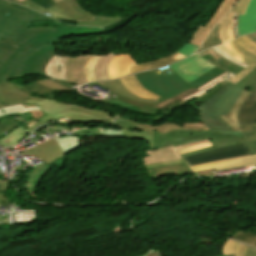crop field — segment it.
I'll return each mask as SVG.
<instances>
[{"label": "crop field", "instance_id": "crop-field-39", "mask_svg": "<svg viewBox=\"0 0 256 256\" xmlns=\"http://www.w3.org/2000/svg\"><path fill=\"white\" fill-rule=\"evenodd\" d=\"M249 2L250 0H238L236 5L230 12L244 15Z\"/></svg>", "mask_w": 256, "mask_h": 256}, {"label": "crop field", "instance_id": "crop-field-21", "mask_svg": "<svg viewBox=\"0 0 256 256\" xmlns=\"http://www.w3.org/2000/svg\"><path fill=\"white\" fill-rule=\"evenodd\" d=\"M212 143H213L214 147L201 149V150H197V151H194V152H191V153H187V154L182 155V157L194 155V154H197V153H201V152L212 150V149L219 148V147L242 144V143H246L251 155L256 154V141L245 142L243 137L212 140Z\"/></svg>", "mask_w": 256, "mask_h": 256}, {"label": "crop field", "instance_id": "crop-field-47", "mask_svg": "<svg viewBox=\"0 0 256 256\" xmlns=\"http://www.w3.org/2000/svg\"><path fill=\"white\" fill-rule=\"evenodd\" d=\"M44 8H49L51 7L52 5L56 4L55 2H53L52 0H30Z\"/></svg>", "mask_w": 256, "mask_h": 256}, {"label": "crop field", "instance_id": "crop-field-16", "mask_svg": "<svg viewBox=\"0 0 256 256\" xmlns=\"http://www.w3.org/2000/svg\"><path fill=\"white\" fill-rule=\"evenodd\" d=\"M134 61L131 54H122L114 57L108 68L110 78L126 76Z\"/></svg>", "mask_w": 256, "mask_h": 256}, {"label": "crop field", "instance_id": "crop-field-56", "mask_svg": "<svg viewBox=\"0 0 256 256\" xmlns=\"http://www.w3.org/2000/svg\"><path fill=\"white\" fill-rule=\"evenodd\" d=\"M9 1H13V2H16V3H20V2H18V1H16V0H9Z\"/></svg>", "mask_w": 256, "mask_h": 256}, {"label": "crop field", "instance_id": "crop-field-2", "mask_svg": "<svg viewBox=\"0 0 256 256\" xmlns=\"http://www.w3.org/2000/svg\"><path fill=\"white\" fill-rule=\"evenodd\" d=\"M248 94L225 81L186 105L200 111V120L209 129L243 131L246 141L255 140L256 123L239 127L237 120V111Z\"/></svg>", "mask_w": 256, "mask_h": 256}, {"label": "crop field", "instance_id": "crop-field-19", "mask_svg": "<svg viewBox=\"0 0 256 256\" xmlns=\"http://www.w3.org/2000/svg\"><path fill=\"white\" fill-rule=\"evenodd\" d=\"M256 31V0H251L245 16L239 15V36Z\"/></svg>", "mask_w": 256, "mask_h": 256}, {"label": "crop field", "instance_id": "crop-field-9", "mask_svg": "<svg viewBox=\"0 0 256 256\" xmlns=\"http://www.w3.org/2000/svg\"><path fill=\"white\" fill-rule=\"evenodd\" d=\"M29 95L16 89L10 82L0 85V116L11 113H28L21 104L26 103Z\"/></svg>", "mask_w": 256, "mask_h": 256}, {"label": "crop field", "instance_id": "crop-field-58", "mask_svg": "<svg viewBox=\"0 0 256 256\" xmlns=\"http://www.w3.org/2000/svg\"><path fill=\"white\" fill-rule=\"evenodd\" d=\"M18 1L22 2V1H24V0H18Z\"/></svg>", "mask_w": 256, "mask_h": 256}, {"label": "crop field", "instance_id": "crop-field-10", "mask_svg": "<svg viewBox=\"0 0 256 256\" xmlns=\"http://www.w3.org/2000/svg\"><path fill=\"white\" fill-rule=\"evenodd\" d=\"M187 83L215 66L210 62L195 54L182 61L170 65Z\"/></svg>", "mask_w": 256, "mask_h": 256}, {"label": "crop field", "instance_id": "crop-field-14", "mask_svg": "<svg viewBox=\"0 0 256 256\" xmlns=\"http://www.w3.org/2000/svg\"><path fill=\"white\" fill-rule=\"evenodd\" d=\"M252 165H256V155L204 163V164L192 166L191 169L193 170V172L205 170L209 168H215L217 171H220V170L230 169V168L239 167V166L247 167Z\"/></svg>", "mask_w": 256, "mask_h": 256}, {"label": "crop field", "instance_id": "crop-field-35", "mask_svg": "<svg viewBox=\"0 0 256 256\" xmlns=\"http://www.w3.org/2000/svg\"><path fill=\"white\" fill-rule=\"evenodd\" d=\"M208 37V36H207ZM220 40L218 37V31H217V26L216 28L212 31V33L209 35V37L206 39V41L203 43V45L195 52H200L202 50H205L207 48H210L216 44H220Z\"/></svg>", "mask_w": 256, "mask_h": 256}, {"label": "crop field", "instance_id": "crop-field-20", "mask_svg": "<svg viewBox=\"0 0 256 256\" xmlns=\"http://www.w3.org/2000/svg\"><path fill=\"white\" fill-rule=\"evenodd\" d=\"M183 58H185V57L182 56L181 54L175 53L168 57L151 60V61H147V62H143V63H139V64H137V62L135 61L133 63V65L131 66L128 75L139 72V71H143V70L163 67L165 65H168L170 63H173V62L178 61Z\"/></svg>", "mask_w": 256, "mask_h": 256}, {"label": "crop field", "instance_id": "crop-field-38", "mask_svg": "<svg viewBox=\"0 0 256 256\" xmlns=\"http://www.w3.org/2000/svg\"><path fill=\"white\" fill-rule=\"evenodd\" d=\"M239 246H240L239 243H236L230 239H227L226 243L223 246L224 255L235 254Z\"/></svg>", "mask_w": 256, "mask_h": 256}, {"label": "crop field", "instance_id": "crop-field-25", "mask_svg": "<svg viewBox=\"0 0 256 256\" xmlns=\"http://www.w3.org/2000/svg\"><path fill=\"white\" fill-rule=\"evenodd\" d=\"M52 169L54 168L43 163L24 174V176L34 179V182H33L34 192H39L38 191L39 184L41 183L44 176L48 174Z\"/></svg>", "mask_w": 256, "mask_h": 256}, {"label": "crop field", "instance_id": "crop-field-11", "mask_svg": "<svg viewBox=\"0 0 256 256\" xmlns=\"http://www.w3.org/2000/svg\"><path fill=\"white\" fill-rule=\"evenodd\" d=\"M245 155H250V154L248 152L246 145L242 144V145L215 149L212 151L186 157L183 159L186 161V163L189 166H191V165H196L204 162L222 160V159H227V158H232L237 156H245Z\"/></svg>", "mask_w": 256, "mask_h": 256}, {"label": "crop field", "instance_id": "crop-field-23", "mask_svg": "<svg viewBox=\"0 0 256 256\" xmlns=\"http://www.w3.org/2000/svg\"><path fill=\"white\" fill-rule=\"evenodd\" d=\"M199 54H201L203 57H205L211 63L227 70L228 72H230L234 75L244 69L238 65H235V64L225 60L220 55L216 54L212 48L205 50L203 52H200Z\"/></svg>", "mask_w": 256, "mask_h": 256}, {"label": "crop field", "instance_id": "crop-field-6", "mask_svg": "<svg viewBox=\"0 0 256 256\" xmlns=\"http://www.w3.org/2000/svg\"><path fill=\"white\" fill-rule=\"evenodd\" d=\"M43 20L51 19L18 4L0 0V43L27 22Z\"/></svg>", "mask_w": 256, "mask_h": 256}, {"label": "crop field", "instance_id": "crop-field-51", "mask_svg": "<svg viewBox=\"0 0 256 256\" xmlns=\"http://www.w3.org/2000/svg\"><path fill=\"white\" fill-rule=\"evenodd\" d=\"M180 162H184V161L178 160V161H172V162H166V163H160V164L147 165V166H143V167L146 169V168H150V167H154V166H158V165L171 164V163H180Z\"/></svg>", "mask_w": 256, "mask_h": 256}, {"label": "crop field", "instance_id": "crop-field-44", "mask_svg": "<svg viewBox=\"0 0 256 256\" xmlns=\"http://www.w3.org/2000/svg\"><path fill=\"white\" fill-rule=\"evenodd\" d=\"M71 3H72L73 9L76 10L77 12H79L80 14H82V15L88 17V18H92V19L94 18V15H93V14H91V13H89V12L83 10V9L79 6L77 0H71Z\"/></svg>", "mask_w": 256, "mask_h": 256}, {"label": "crop field", "instance_id": "crop-field-29", "mask_svg": "<svg viewBox=\"0 0 256 256\" xmlns=\"http://www.w3.org/2000/svg\"><path fill=\"white\" fill-rule=\"evenodd\" d=\"M236 0H224L214 16L211 18L209 23L206 25L207 28L213 29L214 26L219 22V20L229 11L231 10L234 2Z\"/></svg>", "mask_w": 256, "mask_h": 256}, {"label": "crop field", "instance_id": "crop-field-53", "mask_svg": "<svg viewBox=\"0 0 256 256\" xmlns=\"http://www.w3.org/2000/svg\"><path fill=\"white\" fill-rule=\"evenodd\" d=\"M247 37H249L252 41L256 43V33L247 35Z\"/></svg>", "mask_w": 256, "mask_h": 256}, {"label": "crop field", "instance_id": "crop-field-18", "mask_svg": "<svg viewBox=\"0 0 256 256\" xmlns=\"http://www.w3.org/2000/svg\"><path fill=\"white\" fill-rule=\"evenodd\" d=\"M238 119L240 126L256 122V94L250 92L239 109Z\"/></svg>", "mask_w": 256, "mask_h": 256}, {"label": "crop field", "instance_id": "crop-field-7", "mask_svg": "<svg viewBox=\"0 0 256 256\" xmlns=\"http://www.w3.org/2000/svg\"><path fill=\"white\" fill-rule=\"evenodd\" d=\"M217 47L227 56L243 64L249 65L245 70L238 73L228 81L235 84L256 67V44L246 36H241Z\"/></svg>", "mask_w": 256, "mask_h": 256}, {"label": "crop field", "instance_id": "crop-field-40", "mask_svg": "<svg viewBox=\"0 0 256 256\" xmlns=\"http://www.w3.org/2000/svg\"><path fill=\"white\" fill-rule=\"evenodd\" d=\"M236 256H256V249L241 244L236 252Z\"/></svg>", "mask_w": 256, "mask_h": 256}, {"label": "crop field", "instance_id": "crop-field-34", "mask_svg": "<svg viewBox=\"0 0 256 256\" xmlns=\"http://www.w3.org/2000/svg\"><path fill=\"white\" fill-rule=\"evenodd\" d=\"M232 239L256 247V234L240 231Z\"/></svg>", "mask_w": 256, "mask_h": 256}, {"label": "crop field", "instance_id": "crop-field-42", "mask_svg": "<svg viewBox=\"0 0 256 256\" xmlns=\"http://www.w3.org/2000/svg\"><path fill=\"white\" fill-rule=\"evenodd\" d=\"M211 146H213L211 142L198 144V145H194V146L187 147V148H184L182 150H179V153L184 154V153H187V152H190V151H194V150L201 149V148H206V147H211Z\"/></svg>", "mask_w": 256, "mask_h": 256}, {"label": "crop field", "instance_id": "crop-field-36", "mask_svg": "<svg viewBox=\"0 0 256 256\" xmlns=\"http://www.w3.org/2000/svg\"><path fill=\"white\" fill-rule=\"evenodd\" d=\"M210 32V30L199 27V29L195 32V34L192 36V38L189 40L188 43H192L194 45L200 46L204 38L207 36V34Z\"/></svg>", "mask_w": 256, "mask_h": 256}, {"label": "crop field", "instance_id": "crop-field-49", "mask_svg": "<svg viewBox=\"0 0 256 256\" xmlns=\"http://www.w3.org/2000/svg\"><path fill=\"white\" fill-rule=\"evenodd\" d=\"M237 22H238V15L234 14V18H233V35H234L235 38L238 37Z\"/></svg>", "mask_w": 256, "mask_h": 256}, {"label": "crop field", "instance_id": "crop-field-1", "mask_svg": "<svg viewBox=\"0 0 256 256\" xmlns=\"http://www.w3.org/2000/svg\"><path fill=\"white\" fill-rule=\"evenodd\" d=\"M30 26L32 24L27 23L0 44V83L7 79L32 74L46 76L45 66L55 54L53 43L60 44L63 37L103 34L102 28H33L26 30Z\"/></svg>", "mask_w": 256, "mask_h": 256}, {"label": "crop field", "instance_id": "crop-field-54", "mask_svg": "<svg viewBox=\"0 0 256 256\" xmlns=\"http://www.w3.org/2000/svg\"><path fill=\"white\" fill-rule=\"evenodd\" d=\"M29 111H36V110H40L39 107H26Z\"/></svg>", "mask_w": 256, "mask_h": 256}, {"label": "crop field", "instance_id": "crop-field-57", "mask_svg": "<svg viewBox=\"0 0 256 256\" xmlns=\"http://www.w3.org/2000/svg\"><path fill=\"white\" fill-rule=\"evenodd\" d=\"M56 3L59 2V0H54Z\"/></svg>", "mask_w": 256, "mask_h": 256}, {"label": "crop field", "instance_id": "crop-field-28", "mask_svg": "<svg viewBox=\"0 0 256 256\" xmlns=\"http://www.w3.org/2000/svg\"><path fill=\"white\" fill-rule=\"evenodd\" d=\"M116 56L112 53L102 56L95 66V77L97 81L109 79L107 67L111 59Z\"/></svg>", "mask_w": 256, "mask_h": 256}, {"label": "crop field", "instance_id": "crop-field-43", "mask_svg": "<svg viewBox=\"0 0 256 256\" xmlns=\"http://www.w3.org/2000/svg\"><path fill=\"white\" fill-rule=\"evenodd\" d=\"M197 48H198L197 46H193L187 43L182 48H180L178 52L187 57L191 55Z\"/></svg>", "mask_w": 256, "mask_h": 256}, {"label": "crop field", "instance_id": "crop-field-3", "mask_svg": "<svg viewBox=\"0 0 256 256\" xmlns=\"http://www.w3.org/2000/svg\"><path fill=\"white\" fill-rule=\"evenodd\" d=\"M225 71L214 68L198 79L186 83L170 66L135 74L139 83L147 90L161 96L158 103L171 98L191 87L198 88L205 83L211 81L212 79L218 77ZM102 102L117 106L120 108L128 109L131 111L155 115L158 114L156 104L154 103H140L121 95H118L112 91L107 94V98L102 100Z\"/></svg>", "mask_w": 256, "mask_h": 256}, {"label": "crop field", "instance_id": "crop-field-24", "mask_svg": "<svg viewBox=\"0 0 256 256\" xmlns=\"http://www.w3.org/2000/svg\"><path fill=\"white\" fill-rule=\"evenodd\" d=\"M66 58L67 57H61L55 54L46 67V75L52 78L66 80L63 73Z\"/></svg>", "mask_w": 256, "mask_h": 256}, {"label": "crop field", "instance_id": "crop-field-50", "mask_svg": "<svg viewBox=\"0 0 256 256\" xmlns=\"http://www.w3.org/2000/svg\"><path fill=\"white\" fill-rule=\"evenodd\" d=\"M93 58V55H90V57L87 59V61L85 62L84 66H83V74L87 80V82H89V78H88V75H87V65L88 63L90 62V60Z\"/></svg>", "mask_w": 256, "mask_h": 256}, {"label": "crop field", "instance_id": "crop-field-5", "mask_svg": "<svg viewBox=\"0 0 256 256\" xmlns=\"http://www.w3.org/2000/svg\"><path fill=\"white\" fill-rule=\"evenodd\" d=\"M137 131H152L153 148L164 146H179L208 138L219 139L243 136L237 131L209 130L199 123H173L168 122L155 126L140 123Z\"/></svg>", "mask_w": 256, "mask_h": 256}, {"label": "crop field", "instance_id": "crop-field-26", "mask_svg": "<svg viewBox=\"0 0 256 256\" xmlns=\"http://www.w3.org/2000/svg\"><path fill=\"white\" fill-rule=\"evenodd\" d=\"M232 18L233 14L228 13L218 24L219 36L222 43L234 38L232 35Z\"/></svg>", "mask_w": 256, "mask_h": 256}, {"label": "crop field", "instance_id": "crop-field-4", "mask_svg": "<svg viewBox=\"0 0 256 256\" xmlns=\"http://www.w3.org/2000/svg\"><path fill=\"white\" fill-rule=\"evenodd\" d=\"M27 103H38L44 115L40 119L43 121L28 130L18 128L3 139L0 140V146H9L18 144L24 139L35 127L44 123L63 119L72 118V122H113L115 119L110 118V112L98 109L80 107L71 104L59 103L54 100L30 97ZM10 142L6 143L5 141Z\"/></svg>", "mask_w": 256, "mask_h": 256}, {"label": "crop field", "instance_id": "crop-field-32", "mask_svg": "<svg viewBox=\"0 0 256 256\" xmlns=\"http://www.w3.org/2000/svg\"><path fill=\"white\" fill-rule=\"evenodd\" d=\"M89 56H80L73 66V77L77 85L86 83L82 74V65Z\"/></svg>", "mask_w": 256, "mask_h": 256}, {"label": "crop field", "instance_id": "crop-field-15", "mask_svg": "<svg viewBox=\"0 0 256 256\" xmlns=\"http://www.w3.org/2000/svg\"><path fill=\"white\" fill-rule=\"evenodd\" d=\"M211 141L210 139L208 140H204V141H200V142H196V143H191V144H187V145H183V146H179V147H173V146H169V147H164L161 149H158L157 151H147L145 152L146 154H149L151 156L146 157V158H142L144 165L147 164H153V163H160V162H166V161H172V160H178V159H182L181 155L177 152V150L190 146V145H194V144H198V143H203V142H208Z\"/></svg>", "mask_w": 256, "mask_h": 256}, {"label": "crop field", "instance_id": "crop-field-31", "mask_svg": "<svg viewBox=\"0 0 256 256\" xmlns=\"http://www.w3.org/2000/svg\"><path fill=\"white\" fill-rule=\"evenodd\" d=\"M121 20L119 16L116 17H104V16H98L95 15V19L93 22H81L78 21L77 25H85V26H95V27H103L105 25H108L110 23L116 22Z\"/></svg>", "mask_w": 256, "mask_h": 256}, {"label": "crop field", "instance_id": "crop-field-59", "mask_svg": "<svg viewBox=\"0 0 256 256\" xmlns=\"http://www.w3.org/2000/svg\"><path fill=\"white\" fill-rule=\"evenodd\" d=\"M0 192H2L1 189H0Z\"/></svg>", "mask_w": 256, "mask_h": 256}, {"label": "crop field", "instance_id": "crop-field-17", "mask_svg": "<svg viewBox=\"0 0 256 256\" xmlns=\"http://www.w3.org/2000/svg\"><path fill=\"white\" fill-rule=\"evenodd\" d=\"M107 126H117L123 129L122 137L129 139H142L149 141L152 148L151 132H136L139 123L117 120L115 123L106 124Z\"/></svg>", "mask_w": 256, "mask_h": 256}, {"label": "crop field", "instance_id": "crop-field-27", "mask_svg": "<svg viewBox=\"0 0 256 256\" xmlns=\"http://www.w3.org/2000/svg\"><path fill=\"white\" fill-rule=\"evenodd\" d=\"M99 84H101L103 87H105L108 90H112L114 92H117L125 97L140 101V102H154L157 103V101H147L145 99H140V98H136L135 96H133L132 94H130L121 84V82L119 81V79L114 80V81H105V82H98Z\"/></svg>", "mask_w": 256, "mask_h": 256}, {"label": "crop field", "instance_id": "crop-field-8", "mask_svg": "<svg viewBox=\"0 0 256 256\" xmlns=\"http://www.w3.org/2000/svg\"><path fill=\"white\" fill-rule=\"evenodd\" d=\"M219 76L218 78L212 80L211 82L205 84L204 86L198 88L197 90L189 89L171 99H168L160 104L157 105L159 114L155 115L152 122H156L159 120H163L168 117L175 109L181 107L183 104L187 103L188 101L207 93L210 89L218 85L219 83L225 81L223 79L224 75Z\"/></svg>", "mask_w": 256, "mask_h": 256}, {"label": "crop field", "instance_id": "crop-field-52", "mask_svg": "<svg viewBox=\"0 0 256 256\" xmlns=\"http://www.w3.org/2000/svg\"><path fill=\"white\" fill-rule=\"evenodd\" d=\"M50 80H52V79H50ZM52 81L57 82V83H59V84H61V85H64V86H66V87H68V88H72L73 86H75V85H73V84H71V83H69V82L55 81V80H52Z\"/></svg>", "mask_w": 256, "mask_h": 256}, {"label": "crop field", "instance_id": "crop-field-46", "mask_svg": "<svg viewBox=\"0 0 256 256\" xmlns=\"http://www.w3.org/2000/svg\"><path fill=\"white\" fill-rule=\"evenodd\" d=\"M122 130H99V135H106V137H121Z\"/></svg>", "mask_w": 256, "mask_h": 256}, {"label": "crop field", "instance_id": "crop-field-12", "mask_svg": "<svg viewBox=\"0 0 256 256\" xmlns=\"http://www.w3.org/2000/svg\"><path fill=\"white\" fill-rule=\"evenodd\" d=\"M21 5L35 10L37 12L45 14L46 12L49 13L52 18L57 20H69V21H93L92 19H87L86 17L78 14L71 8L70 0H60L59 3L52 6L51 8L45 10L29 1H24Z\"/></svg>", "mask_w": 256, "mask_h": 256}, {"label": "crop field", "instance_id": "crop-field-13", "mask_svg": "<svg viewBox=\"0 0 256 256\" xmlns=\"http://www.w3.org/2000/svg\"><path fill=\"white\" fill-rule=\"evenodd\" d=\"M21 154L38 157L49 164L66 155L63 153L55 139L48 140L36 147L25 150Z\"/></svg>", "mask_w": 256, "mask_h": 256}, {"label": "crop field", "instance_id": "crop-field-55", "mask_svg": "<svg viewBox=\"0 0 256 256\" xmlns=\"http://www.w3.org/2000/svg\"><path fill=\"white\" fill-rule=\"evenodd\" d=\"M91 134H98V130L91 129Z\"/></svg>", "mask_w": 256, "mask_h": 256}, {"label": "crop field", "instance_id": "crop-field-37", "mask_svg": "<svg viewBox=\"0 0 256 256\" xmlns=\"http://www.w3.org/2000/svg\"><path fill=\"white\" fill-rule=\"evenodd\" d=\"M78 56L76 57H68L66 63H65V69H64V73L65 76L67 78L68 81L74 82L73 81V77H72V66L75 63L76 59Z\"/></svg>", "mask_w": 256, "mask_h": 256}, {"label": "crop field", "instance_id": "crop-field-30", "mask_svg": "<svg viewBox=\"0 0 256 256\" xmlns=\"http://www.w3.org/2000/svg\"><path fill=\"white\" fill-rule=\"evenodd\" d=\"M64 153H68L81 145L80 139L73 136H65L56 139Z\"/></svg>", "mask_w": 256, "mask_h": 256}, {"label": "crop field", "instance_id": "crop-field-48", "mask_svg": "<svg viewBox=\"0 0 256 256\" xmlns=\"http://www.w3.org/2000/svg\"><path fill=\"white\" fill-rule=\"evenodd\" d=\"M213 49L215 50L216 53L220 54V55H221L222 57H224L225 59L230 60V61H232V62H234V63H236V64H238V65H240V66H242V67H244V68L247 67L246 65H243V64H241V63H239V62H237V61H234V60H232L231 58L227 57V56H226L225 54H223L217 47H214Z\"/></svg>", "mask_w": 256, "mask_h": 256}, {"label": "crop field", "instance_id": "crop-field-41", "mask_svg": "<svg viewBox=\"0 0 256 256\" xmlns=\"http://www.w3.org/2000/svg\"><path fill=\"white\" fill-rule=\"evenodd\" d=\"M39 84L45 86V87H48V88H53V89H57V90H60V91H71L70 89L66 88V87H63L57 83H54L48 79H45V80H41V81H37Z\"/></svg>", "mask_w": 256, "mask_h": 256}, {"label": "crop field", "instance_id": "crop-field-33", "mask_svg": "<svg viewBox=\"0 0 256 256\" xmlns=\"http://www.w3.org/2000/svg\"><path fill=\"white\" fill-rule=\"evenodd\" d=\"M236 85L256 93V68Z\"/></svg>", "mask_w": 256, "mask_h": 256}, {"label": "crop field", "instance_id": "crop-field-22", "mask_svg": "<svg viewBox=\"0 0 256 256\" xmlns=\"http://www.w3.org/2000/svg\"><path fill=\"white\" fill-rule=\"evenodd\" d=\"M123 86L133 95L147 100H158L159 96L144 89L137 81L135 75L126 78H120Z\"/></svg>", "mask_w": 256, "mask_h": 256}, {"label": "crop field", "instance_id": "crop-field-45", "mask_svg": "<svg viewBox=\"0 0 256 256\" xmlns=\"http://www.w3.org/2000/svg\"><path fill=\"white\" fill-rule=\"evenodd\" d=\"M100 57L101 56H94V58L92 59V61L90 62L89 66H88V74H89V78L91 81H96L95 77H94V65L96 64V61Z\"/></svg>", "mask_w": 256, "mask_h": 256}]
</instances>
